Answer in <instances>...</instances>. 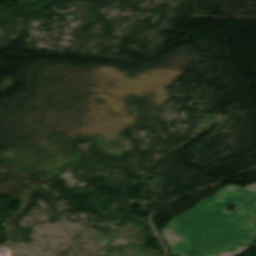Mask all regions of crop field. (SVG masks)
Listing matches in <instances>:
<instances>
[{"label":"crop field","instance_id":"obj_2","mask_svg":"<svg viewBox=\"0 0 256 256\" xmlns=\"http://www.w3.org/2000/svg\"><path fill=\"white\" fill-rule=\"evenodd\" d=\"M245 189H249V190H252V191H255V192H256V183L253 184V185H250V186L246 187Z\"/></svg>","mask_w":256,"mask_h":256},{"label":"crop field","instance_id":"obj_1","mask_svg":"<svg viewBox=\"0 0 256 256\" xmlns=\"http://www.w3.org/2000/svg\"><path fill=\"white\" fill-rule=\"evenodd\" d=\"M255 217L256 193L230 185L174 219L164 236L175 256H233L256 238Z\"/></svg>","mask_w":256,"mask_h":256}]
</instances>
